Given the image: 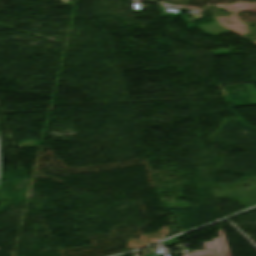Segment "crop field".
I'll return each instance as SVG.
<instances>
[{"label": "crop field", "mask_w": 256, "mask_h": 256, "mask_svg": "<svg viewBox=\"0 0 256 256\" xmlns=\"http://www.w3.org/2000/svg\"><path fill=\"white\" fill-rule=\"evenodd\" d=\"M220 238L213 239L214 242L203 243L205 251H192V254L183 256H231L230 250L223 230H218Z\"/></svg>", "instance_id": "crop-field-1"}, {"label": "crop field", "mask_w": 256, "mask_h": 256, "mask_svg": "<svg viewBox=\"0 0 256 256\" xmlns=\"http://www.w3.org/2000/svg\"><path fill=\"white\" fill-rule=\"evenodd\" d=\"M177 238H180L179 236L175 237V238H172L170 240H167V241H164L162 242L163 244L169 246V245H172V244H175V243H178V241H176L175 239Z\"/></svg>", "instance_id": "crop-field-2"}]
</instances>
